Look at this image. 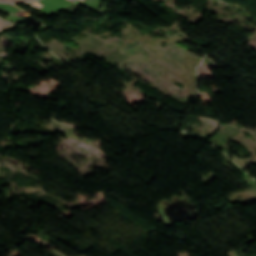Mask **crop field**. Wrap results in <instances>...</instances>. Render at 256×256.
<instances>
[{
  "instance_id": "8a807250",
  "label": "crop field",
  "mask_w": 256,
  "mask_h": 256,
  "mask_svg": "<svg viewBox=\"0 0 256 256\" xmlns=\"http://www.w3.org/2000/svg\"><path fill=\"white\" fill-rule=\"evenodd\" d=\"M14 27H15V25H13L9 22L0 20V33L4 32L6 30H9L11 28H14Z\"/></svg>"
},
{
  "instance_id": "ac0d7876",
  "label": "crop field",
  "mask_w": 256,
  "mask_h": 256,
  "mask_svg": "<svg viewBox=\"0 0 256 256\" xmlns=\"http://www.w3.org/2000/svg\"><path fill=\"white\" fill-rule=\"evenodd\" d=\"M3 2H22V1H29V0H0Z\"/></svg>"
}]
</instances>
